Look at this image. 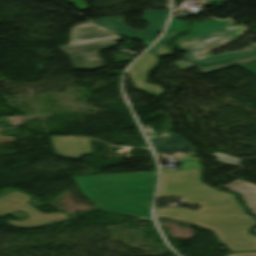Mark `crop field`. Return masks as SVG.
Segmentation results:
<instances>
[{
  "label": "crop field",
  "instance_id": "16",
  "mask_svg": "<svg viewBox=\"0 0 256 256\" xmlns=\"http://www.w3.org/2000/svg\"><path fill=\"white\" fill-rule=\"evenodd\" d=\"M228 256H256V252L255 253H238V254H230Z\"/></svg>",
  "mask_w": 256,
  "mask_h": 256
},
{
  "label": "crop field",
  "instance_id": "18",
  "mask_svg": "<svg viewBox=\"0 0 256 256\" xmlns=\"http://www.w3.org/2000/svg\"><path fill=\"white\" fill-rule=\"evenodd\" d=\"M213 1H232V0H213Z\"/></svg>",
  "mask_w": 256,
  "mask_h": 256
},
{
  "label": "crop field",
  "instance_id": "8",
  "mask_svg": "<svg viewBox=\"0 0 256 256\" xmlns=\"http://www.w3.org/2000/svg\"><path fill=\"white\" fill-rule=\"evenodd\" d=\"M56 154L78 159L84 154H92L90 139L80 137L51 138Z\"/></svg>",
  "mask_w": 256,
  "mask_h": 256
},
{
  "label": "crop field",
  "instance_id": "17",
  "mask_svg": "<svg viewBox=\"0 0 256 256\" xmlns=\"http://www.w3.org/2000/svg\"><path fill=\"white\" fill-rule=\"evenodd\" d=\"M126 38H131V37H127V36H126ZM133 39H136V38H133ZM138 40L143 41V42H144V43H143V46H145V47H147V46H149L151 43H153V41L142 40V39H138Z\"/></svg>",
  "mask_w": 256,
  "mask_h": 256
},
{
  "label": "crop field",
  "instance_id": "5",
  "mask_svg": "<svg viewBox=\"0 0 256 256\" xmlns=\"http://www.w3.org/2000/svg\"><path fill=\"white\" fill-rule=\"evenodd\" d=\"M29 199V196L19 191L12 192L0 198V216H4L14 210L28 213L29 217L25 221L8 222L9 225L20 228H35L69 219L60 213L43 214L26 204V201Z\"/></svg>",
  "mask_w": 256,
  "mask_h": 256
},
{
  "label": "crop field",
  "instance_id": "9",
  "mask_svg": "<svg viewBox=\"0 0 256 256\" xmlns=\"http://www.w3.org/2000/svg\"><path fill=\"white\" fill-rule=\"evenodd\" d=\"M156 154L191 151L195 147L178 134L149 138Z\"/></svg>",
  "mask_w": 256,
  "mask_h": 256
},
{
  "label": "crop field",
  "instance_id": "14",
  "mask_svg": "<svg viewBox=\"0 0 256 256\" xmlns=\"http://www.w3.org/2000/svg\"><path fill=\"white\" fill-rule=\"evenodd\" d=\"M166 43L157 42L149 51L157 56L171 54V48H166Z\"/></svg>",
  "mask_w": 256,
  "mask_h": 256
},
{
  "label": "crop field",
  "instance_id": "3",
  "mask_svg": "<svg viewBox=\"0 0 256 256\" xmlns=\"http://www.w3.org/2000/svg\"><path fill=\"white\" fill-rule=\"evenodd\" d=\"M247 30L242 26H235L231 20L218 21L215 19L193 22V30L182 38L175 39L180 50L189 54L184 56L201 65H208L234 58L256 54V44L242 50L213 57L211 51L224 47Z\"/></svg>",
  "mask_w": 256,
  "mask_h": 256
},
{
  "label": "crop field",
  "instance_id": "15",
  "mask_svg": "<svg viewBox=\"0 0 256 256\" xmlns=\"http://www.w3.org/2000/svg\"><path fill=\"white\" fill-rule=\"evenodd\" d=\"M69 2L76 4L79 10L86 9L88 6L82 0H68Z\"/></svg>",
  "mask_w": 256,
  "mask_h": 256
},
{
  "label": "crop field",
  "instance_id": "11",
  "mask_svg": "<svg viewBox=\"0 0 256 256\" xmlns=\"http://www.w3.org/2000/svg\"><path fill=\"white\" fill-rule=\"evenodd\" d=\"M256 60V55L255 56H251V57H247V58H242V59H238V60H233V61H228V62H223V63H219L216 65H212V66H208V67H203V66H199L190 62H184V61H178L176 63H173L175 66L187 70L193 66H196L199 71L204 74V73H208V72H212L215 70H219V69H223L226 67H230V66H234V65H239V64H243V63H247V62H251V61H255Z\"/></svg>",
  "mask_w": 256,
  "mask_h": 256
},
{
  "label": "crop field",
  "instance_id": "7",
  "mask_svg": "<svg viewBox=\"0 0 256 256\" xmlns=\"http://www.w3.org/2000/svg\"><path fill=\"white\" fill-rule=\"evenodd\" d=\"M159 58L147 52L128 71L137 89L146 91L152 95H159L164 92L160 86L146 82L150 69L158 64Z\"/></svg>",
  "mask_w": 256,
  "mask_h": 256
},
{
  "label": "crop field",
  "instance_id": "4",
  "mask_svg": "<svg viewBox=\"0 0 256 256\" xmlns=\"http://www.w3.org/2000/svg\"><path fill=\"white\" fill-rule=\"evenodd\" d=\"M122 39L89 21L70 29L69 44L56 48L69 55L75 69L94 70L104 66L98 50L115 46Z\"/></svg>",
  "mask_w": 256,
  "mask_h": 256
},
{
  "label": "crop field",
  "instance_id": "13",
  "mask_svg": "<svg viewBox=\"0 0 256 256\" xmlns=\"http://www.w3.org/2000/svg\"><path fill=\"white\" fill-rule=\"evenodd\" d=\"M210 155L218 157L216 159V161H220V162H223V163H227V164H231V165H234V166L241 167L240 162L242 161V158L230 156V155L219 153V152L214 153V154H210Z\"/></svg>",
  "mask_w": 256,
  "mask_h": 256
},
{
  "label": "crop field",
  "instance_id": "10",
  "mask_svg": "<svg viewBox=\"0 0 256 256\" xmlns=\"http://www.w3.org/2000/svg\"><path fill=\"white\" fill-rule=\"evenodd\" d=\"M222 188L238 191L242 194V198L251 209V211L256 215V187L237 180L231 184H228ZM256 232V230H255Z\"/></svg>",
  "mask_w": 256,
  "mask_h": 256
},
{
  "label": "crop field",
  "instance_id": "12",
  "mask_svg": "<svg viewBox=\"0 0 256 256\" xmlns=\"http://www.w3.org/2000/svg\"><path fill=\"white\" fill-rule=\"evenodd\" d=\"M168 28L176 30L178 32L167 29L163 38L160 41H170L171 37H173V36L179 34L180 32L188 29V22L172 19Z\"/></svg>",
  "mask_w": 256,
  "mask_h": 256
},
{
  "label": "crop field",
  "instance_id": "1",
  "mask_svg": "<svg viewBox=\"0 0 256 256\" xmlns=\"http://www.w3.org/2000/svg\"><path fill=\"white\" fill-rule=\"evenodd\" d=\"M173 197L199 203L198 211L181 207L155 209L156 215L178 213L185 222L212 230L230 251L256 250V235L248 232L256 225L232 193L212 188L201 181L200 168L162 172L158 198Z\"/></svg>",
  "mask_w": 256,
  "mask_h": 256
},
{
  "label": "crop field",
  "instance_id": "2",
  "mask_svg": "<svg viewBox=\"0 0 256 256\" xmlns=\"http://www.w3.org/2000/svg\"><path fill=\"white\" fill-rule=\"evenodd\" d=\"M83 194L98 208L151 217L157 172L72 177Z\"/></svg>",
  "mask_w": 256,
  "mask_h": 256
},
{
  "label": "crop field",
  "instance_id": "6",
  "mask_svg": "<svg viewBox=\"0 0 256 256\" xmlns=\"http://www.w3.org/2000/svg\"><path fill=\"white\" fill-rule=\"evenodd\" d=\"M170 10H146L142 19L149 23L144 31H134L124 22V16L101 18L95 22L107 27L118 35H130L156 40L158 32L162 31Z\"/></svg>",
  "mask_w": 256,
  "mask_h": 256
}]
</instances>
